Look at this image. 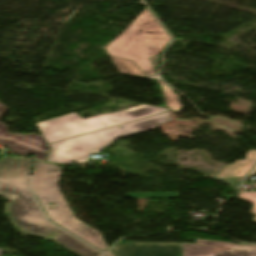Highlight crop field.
<instances>
[{
  "instance_id": "obj_2",
  "label": "crop field",
  "mask_w": 256,
  "mask_h": 256,
  "mask_svg": "<svg viewBox=\"0 0 256 256\" xmlns=\"http://www.w3.org/2000/svg\"><path fill=\"white\" fill-rule=\"evenodd\" d=\"M61 168L34 160L32 190L38 196L51 221L66 228L96 248L105 251L99 232L77 220L58 188ZM49 203H54L51 206Z\"/></svg>"
},
{
  "instance_id": "obj_3",
  "label": "crop field",
  "mask_w": 256,
  "mask_h": 256,
  "mask_svg": "<svg viewBox=\"0 0 256 256\" xmlns=\"http://www.w3.org/2000/svg\"><path fill=\"white\" fill-rule=\"evenodd\" d=\"M169 113L144 118L125 125L101 130L49 146L47 162L58 164L87 162L89 155L98 153L104 146L122 136L155 128L159 123L169 120Z\"/></svg>"
},
{
  "instance_id": "obj_11",
  "label": "crop field",
  "mask_w": 256,
  "mask_h": 256,
  "mask_svg": "<svg viewBox=\"0 0 256 256\" xmlns=\"http://www.w3.org/2000/svg\"><path fill=\"white\" fill-rule=\"evenodd\" d=\"M157 81L163 88V92H164L168 107L171 108L173 111L179 112L182 106H181L178 95H176L174 91L169 88L168 85H166L159 79H157Z\"/></svg>"
},
{
  "instance_id": "obj_7",
  "label": "crop field",
  "mask_w": 256,
  "mask_h": 256,
  "mask_svg": "<svg viewBox=\"0 0 256 256\" xmlns=\"http://www.w3.org/2000/svg\"><path fill=\"white\" fill-rule=\"evenodd\" d=\"M183 256H256V246L234 245L198 239L194 245L182 243Z\"/></svg>"
},
{
  "instance_id": "obj_8",
  "label": "crop field",
  "mask_w": 256,
  "mask_h": 256,
  "mask_svg": "<svg viewBox=\"0 0 256 256\" xmlns=\"http://www.w3.org/2000/svg\"><path fill=\"white\" fill-rule=\"evenodd\" d=\"M116 256H178L181 243H130L120 241L112 248Z\"/></svg>"
},
{
  "instance_id": "obj_4",
  "label": "crop field",
  "mask_w": 256,
  "mask_h": 256,
  "mask_svg": "<svg viewBox=\"0 0 256 256\" xmlns=\"http://www.w3.org/2000/svg\"><path fill=\"white\" fill-rule=\"evenodd\" d=\"M164 111H167V109L142 105L111 114H101L86 120L73 113L37 123V126L47 144H49Z\"/></svg>"
},
{
  "instance_id": "obj_19",
  "label": "crop field",
  "mask_w": 256,
  "mask_h": 256,
  "mask_svg": "<svg viewBox=\"0 0 256 256\" xmlns=\"http://www.w3.org/2000/svg\"><path fill=\"white\" fill-rule=\"evenodd\" d=\"M149 58V57H148Z\"/></svg>"
},
{
  "instance_id": "obj_15",
  "label": "crop field",
  "mask_w": 256,
  "mask_h": 256,
  "mask_svg": "<svg viewBox=\"0 0 256 256\" xmlns=\"http://www.w3.org/2000/svg\"><path fill=\"white\" fill-rule=\"evenodd\" d=\"M155 69L157 68L158 62H159V55L151 59Z\"/></svg>"
},
{
  "instance_id": "obj_1",
  "label": "crop field",
  "mask_w": 256,
  "mask_h": 256,
  "mask_svg": "<svg viewBox=\"0 0 256 256\" xmlns=\"http://www.w3.org/2000/svg\"><path fill=\"white\" fill-rule=\"evenodd\" d=\"M29 160L10 157L0 161V195L6 197L9 214L24 233L45 236L53 231V238L81 256H99L101 253L47 222L28 190Z\"/></svg>"
},
{
  "instance_id": "obj_6",
  "label": "crop field",
  "mask_w": 256,
  "mask_h": 256,
  "mask_svg": "<svg viewBox=\"0 0 256 256\" xmlns=\"http://www.w3.org/2000/svg\"><path fill=\"white\" fill-rule=\"evenodd\" d=\"M9 108L0 103V118ZM0 143L6 144L10 150L17 154H35V158L45 161L47 146L43 137L36 134L13 135L9 134L7 126L0 123Z\"/></svg>"
},
{
  "instance_id": "obj_13",
  "label": "crop field",
  "mask_w": 256,
  "mask_h": 256,
  "mask_svg": "<svg viewBox=\"0 0 256 256\" xmlns=\"http://www.w3.org/2000/svg\"><path fill=\"white\" fill-rule=\"evenodd\" d=\"M127 198H178V193H128Z\"/></svg>"
},
{
  "instance_id": "obj_17",
  "label": "crop field",
  "mask_w": 256,
  "mask_h": 256,
  "mask_svg": "<svg viewBox=\"0 0 256 256\" xmlns=\"http://www.w3.org/2000/svg\"><path fill=\"white\" fill-rule=\"evenodd\" d=\"M254 173H256V167L254 168V170L250 173V175H252V174H254ZM249 175V176H250Z\"/></svg>"
},
{
  "instance_id": "obj_9",
  "label": "crop field",
  "mask_w": 256,
  "mask_h": 256,
  "mask_svg": "<svg viewBox=\"0 0 256 256\" xmlns=\"http://www.w3.org/2000/svg\"><path fill=\"white\" fill-rule=\"evenodd\" d=\"M143 32H154V33H165L161 26L154 25L146 27L143 29ZM141 39H152V40H163V41H141L148 56L157 55L161 47L169 41L167 34H153V33H143Z\"/></svg>"
},
{
  "instance_id": "obj_10",
  "label": "crop field",
  "mask_w": 256,
  "mask_h": 256,
  "mask_svg": "<svg viewBox=\"0 0 256 256\" xmlns=\"http://www.w3.org/2000/svg\"><path fill=\"white\" fill-rule=\"evenodd\" d=\"M246 156L247 158L244 159V161L238 160L235 163L224 167L217 178H235L246 175L256 162V151L250 150Z\"/></svg>"
},
{
  "instance_id": "obj_12",
  "label": "crop field",
  "mask_w": 256,
  "mask_h": 256,
  "mask_svg": "<svg viewBox=\"0 0 256 256\" xmlns=\"http://www.w3.org/2000/svg\"><path fill=\"white\" fill-rule=\"evenodd\" d=\"M111 59L113 60L114 64L116 65V67L118 68L120 73L144 76L138 70L136 65L134 63H132L131 61L124 60L121 58H116V57H111Z\"/></svg>"
},
{
  "instance_id": "obj_16",
  "label": "crop field",
  "mask_w": 256,
  "mask_h": 256,
  "mask_svg": "<svg viewBox=\"0 0 256 256\" xmlns=\"http://www.w3.org/2000/svg\"><path fill=\"white\" fill-rule=\"evenodd\" d=\"M105 256H114L111 251H109Z\"/></svg>"
},
{
  "instance_id": "obj_5",
  "label": "crop field",
  "mask_w": 256,
  "mask_h": 256,
  "mask_svg": "<svg viewBox=\"0 0 256 256\" xmlns=\"http://www.w3.org/2000/svg\"><path fill=\"white\" fill-rule=\"evenodd\" d=\"M158 21L145 9L135 21L105 49L108 54L133 60L146 75L156 74L140 42L142 27L157 24Z\"/></svg>"
},
{
  "instance_id": "obj_18",
  "label": "crop field",
  "mask_w": 256,
  "mask_h": 256,
  "mask_svg": "<svg viewBox=\"0 0 256 256\" xmlns=\"http://www.w3.org/2000/svg\"><path fill=\"white\" fill-rule=\"evenodd\" d=\"M5 253V251H3L2 249H0V255Z\"/></svg>"
},
{
  "instance_id": "obj_14",
  "label": "crop field",
  "mask_w": 256,
  "mask_h": 256,
  "mask_svg": "<svg viewBox=\"0 0 256 256\" xmlns=\"http://www.w3.org/2000/svg\"><path fill=\"white\" fill-rule=\"evenodd\" d=\"M238 198H240V199H242V200H244V201H246V202H249V203L253 204L254 207H253L251 213L256 214V192L245 193V194L241 193V194L238 196ZM254 221H256V218H255Z\"/></svg>"
}]
</instances>
